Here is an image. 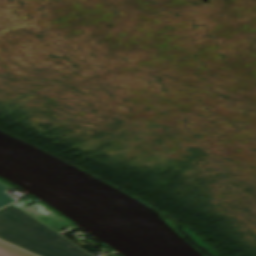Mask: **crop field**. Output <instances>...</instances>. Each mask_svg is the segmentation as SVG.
Instances as JSON below:
<instances>
[{"label":"crop field","instance_id":"obj_1","mask_svg":"<svg viewBox=\"0 0 256 256\" xmlns=\"http://www.w3.org/2000/svg\"><path fill=\"white\" fill-rule=\"evenodd\" d=\"M0 239L38 256H91L13 205L0 210Z\"/></svg>","mask_w":256,"mask_h":256},{"label":"crop field","instance_id":"obj_2","mask_svg":"<svg viewBox=\"0 0 256 256\" xmlns=\"http://www.w3.org/2000/svg\"><path fill=\"white\" fill-rule=\"evenodd\" d=\"M0 256H33L5 243L0 242Z\"/></svg>","mask_w":256,"mask_h":256},{"label":"crop field","instance_id":"obj_3","mask_svg":"<svg viewBox=\"0 0 256 256\" xmlns=\"http://www.w3.org/2000/svg\"><path fill=\"white\" fill-rule=\"evenodd\" d=\"M12 202H14V200H12L10 197H8L3 192L0 193V208L5 206V205H8Z\"/></svg>","mask_w":256,"mask_h":256},{"label":"crop field","instance_id":"obj_4","mask_svg":"<svg viewBox=\"0 0 256 256\" xmlns=\"http://www.w3.org/2000/svg\"><path fill=\"white\" fill-rule=\"evenodd\" d=\"M8 188H10L9 185H7V184H5V183L0 181V192L3 191L4 193H6L4 190H6ZM6 194L16 201V199L13 198L11 195H9L8 193H6Z\"/></svg>","mask_w":256,"mask_h":256}]
</instances>
